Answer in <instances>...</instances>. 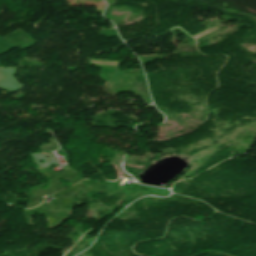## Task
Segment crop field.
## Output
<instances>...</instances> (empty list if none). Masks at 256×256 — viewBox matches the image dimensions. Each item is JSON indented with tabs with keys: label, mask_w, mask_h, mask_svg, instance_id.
I'll list each match as a JSON object with an SVG mask.
<instances>
[{
	"label": "crop field",
	"mask_w": 256,
	"mask_h": 256,
	"mask_svg": "<svg viewBox=\"0 0 256 256\" xmlns=\"http://www.w3.org/2000/svg\"><path fill=\"white\" fill-rule=\"evenodd\" d=\"M43 153V152H42ZM45 154V153H44Z\"/></svg>",
	"instance_id": "8a807250"
}]
</instances>
